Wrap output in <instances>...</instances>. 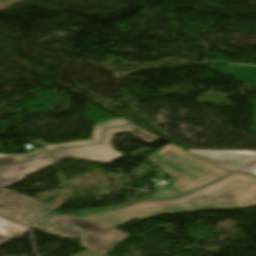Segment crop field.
<instances>
[{
	"label": "crop field",
	"instance_id": "13",
	"mask_svg": "<svg viewBox=\"0 0 256 256\" xmlns=\"http://www.w3.org/2000/svg\"><path fill=\"white\" fill-rule=\"evenodd\" d=\"M238 172H244V173H250V174H256V163L248 166V167H245L241 170H239Z\"/></svg>",
	"mask_w": 256,
	"mask_h": 256
},
{
	"label": "crop field",
	"instance_id": "11",
	"mask_svg": "<svg viewBox=\"0 0 256 256\" xmlns=\"http://www.w3.org/2000/svg\"><path fill=\"white\" fill-rule=\"evenodd\" d=\"M25 231L23 226L0 218V243L14 234L21 236Z\"/></svg>",
	"mask_w": 256,
	"mask_h": 256
},
{
	"label": "crop field",
	"instance_id": "3",
	"mask_svg": "<svg viewBox=\"0 0 256 256\" xmlns=\"http://www.w3.org/2000/svg\"><path fill=\"white\" fill-rule=\"evenodd\" d=\"M49 225L53 228H47ZM32 227L45 233L56 236L81 238V245L100 254H105L119 241L125 238L127 233L110 228L100 223L91 221L81 216H51L41 219Z\"/></svg>",
	"mask_w": 256,
	"mask_h": 256
},
{
	"label": "crop field",
	"instance_id": "6",
	"mask_svg": "<svg viewBox=\"0 0 256 256\" xmlns=\"http://www.w3.org/2000/svg\"><path fill=\"white\" fill-rule=\"evenodd\" d=\"M57 161L46 152L15 164L0 171V186L7 188L25 179L26 176L39 172Z\"/></svg>",
	"mask_w": 256,
	"mask_h": 256
},
{
	"label": "crop field",
	"instance_id": "4",
	"mask_svg": "<svg viewBox=\"0 0 256 256\" xmlns=\"http://www.w3.org/2000/svg\"><path fill=\"white\" fill-rule=\"evenodd\" d=\"M129 130L133 131V136L139 138L140 140L148 144L161 139L160 137L134 124H130V125L106 130L103 144L72 148V149H66V150H59V151H52L50 153L54 155L57 159L77 158V159L107 164L123 156V154L116 152L111 146V142L114 136Z\"/></svg>",
	"mask_w": 256,
	"mask_h": 256
},
{
	"label": "crop field",
	"instance_id": "7",
	"mask_svg": "<svg viewBox=\"0 0 256 256\" xmlns=\"http://www.w3.org/2000/svg\"><path fill=\"white\" fill-rule=\"evenodd\" d=\"M223 169L235 171L256 160V152L188 150Z\"/></svg>",
	"mask_w": 256,
	"mask_h": 256
},
{
	"label": "crop field",
	"instance_id": "1",
	"mask_svg": "<svg viewBox=\"0 0 256 256\" xmlns=\"http://www.w3.org/2000/svg\"><path fill=\"white\" fill-rule=\"evenodd\" d=\"M256 205V177L233 173L187 196L171 200L137 202L129 207L83 215L116 228L134 218L200 210L244 208Z\"/></svg>",
	"mask_w": 256,
	"mask_h": 256
},
{
	"label": "crop field",
	"instance_id": "2",
	"mask_svg": "<svg viewBox=\"0 0 256 256\" xmlns=\"http://www.w3.org/2000/svg\"><path fill=\"white\" fill-rule=\"evenodd\" d=\"M148 159L172 177L169 187L180 193H187L230 172L223 171L172 144L153 152Z\"/></svg>",
	"mask_w": 256,
	"mask_h": 256
},
{
	"label": "crop field",
	"instance_id": "5",
	"mask_svg": "<svg viewBox=\"0 0 256 256\" xmlns=\"http://www.w3.org/2000/svg\"><path fill=\"white\" fill-rule=\"evenodd\" d=\"M55 207L0 187V215L30 224ZM33 223V222H32Z\"/></svg>",
	"mask_w": 256,
	"mask_h": 256
},
{
	"label": "crop field",
	"instance_id": "10",
	"mask_svg": "<svg viewBox=\"0 0 256 256\" xmlns=\"http://www.w3.org/2000/svg\"><path fill=\"white\" fill-rule=\"evenodd\" d=\"M229 69L237 80L256 83V67L228 64ZM254 119L256 122V107Z\"/></svg>",
	"mask_w": 256,
	"mask_h": 256
},
{
	"label": "crop field",
	"instance_id": "8",
	"mask_svg": "<svg viewBox=\"0 0 256 256\" xmlns=\"http://www.w3.org/2000/svg\"><path fill=\"white\" fill-rule=\"evenodd\" d=\"M127 123H129V121H127L123 118H117V119H113V120H110V121L102 122V123L96 124V129H95V133H94V140L68 143V144H60V145H53V146H48L45 149L46 150H51V149L86 145V144L101 143L105 128L118 126V125H123V124H127Z\"/></svg>",
	"mask_w": 256,
	"mask_h": 256
},
{
	"label": "crop field",
	"instance_id": "9",
	"mask_svg": "<svg viewBox=\"0 0 256 256\" xmlns=\"http://www.w3.org/2000/svg\"><path fill=\"white\" fill-rule=\"evenodd\" d=\"M177 196H181V195L172 191L169 188H165V189H160V190L154 191V193L152 195H148L146 197H143V198H140V199H137V200H133V201L127 202V203L122 204V205L107 207V208H99V209L79 211V212H75V213H76V215L86 214V213H93V212H98V211L112 209V208L124 207V206H127V205H129V204H131L135 201H139V200H145V199H151V198L169 199V198H173V197H177Z\"/></svg>",
	"mask_w": 256,
	"mask_h": 256
},
{
	"label": "crop field",
	"instance_id": "12",
	"mask_svg": "<svg viewBox=\"0 0 256 256\" xmlns=\"http://www.w3.org/2000/svg\"><path fill=\"white\" fill-rule=\"evenodd\" d=\"M44 150H38V151H34L31 152L27 155H5V154H0V170L15 163L18 162L20 160L26 159L32 155H35L36 152H41Z\"/></svg>",
	"mask_w": 256,
	"mask_h": 256
}]
</instances>
